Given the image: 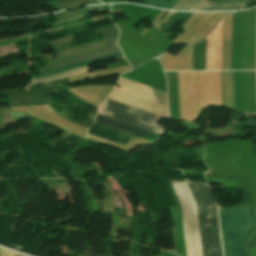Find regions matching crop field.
<instances>
[{
  "label": "crop field",
  "instance_id": "1",
  "mask_svg": "<svg viewBox=\"0 0 256 256\" xmlns=\"http://www.w3.org/2000/svg\"><path fill=\"white\" fill-rule=\"evenodd\" d=\"M220 211V225L222 233L224 256H249L247 249V239L254 227V207L253 204H246Z\"/></svg>",
  "mask_w": 256,
  "mask_h": 256
},
{
  "label": "crop field",
  "instance_id": "2",
  "mask_svg": "<svg viewBox=\"0 0 256 256\" xmlns=\"http://www.w3.org/2000/svg\"><path fill=\"white\" fill-rule=\"evenodd\" d=\"M197 204L203 256H221L216 208L207 185L189 183Z\"/></svg>",
  "mask_w": 256,
  "mask_h": 256
},
{
  "label": "crop field",
  "instance_id": "3",
  "mask_svg": "<svg viewBox=\"0 0 256 256\" xmlns=\"http://www.w3.org/2000/svg\"><path fill=\"white\" fill-rule=\"evenodd\" d=\"M96 31L98 33L102 32L105 41L57 52L58 58L49 60L46 64L48 71L70 63L120 51L117 46L118 30L116 26Z\"/></svg>",
  "mask_w": 256,
  "mask_h": 256
},
{
  "label": "crop field",
  "instance_id": "4",
  "mask_svg": "<svg viewBox=\"0 0 256 256\" xmlns=\"http://www.w3.org/2000/svg\"><path fill=\"white\" fill-rule=\"evenodd\" d=\"M185 183H186V185L188 187V190L190 192V195L193 199V196L191 194L188 183L187 182H185ZM185 183L184 182H178V183H172V184H173L174 189L177 193L179 201L182 205L181 211H182V219H183V227H184V235H185L187 256H200L201 243H200V235H199L196 204H195L194 199H193V202L195 204V210H196L197 227H198V235H199V243H200V252H199V243H198V235H197L194 204L191 200V197L189 195V192L186 188ZM201 256H202V252H201Z\"/></svg>",
  "mask_w": 256,
  "mask_h": 256
},
{
  "label": "crop field",
  "instance_id": "5",
  "mask_svg": "<svg viewBox=\"0 0 256 256\" xmlns=\"http://www.w3.org/2000/svg\"><path fill=\"white\" fill-rule=\"evenodd\" d=\"M98 113L159 134L162 131L155 123L159 116L108 99L101 105Z\"/></svg>",
  "mask_w": 256,
  "mask_h": 256
},
{
  "label": "crop field",
  "instance_id": "6",
  "mask_svg": "<svg viewBox=\"0 0 256 256\" xmlns=\"http://www.w3.org/2000/svg\"><path fill=\"white\" fill-rule=\"evenodd\" d=\"M68 79H62L44 84L30 85L27 90L8 92L11 105H29L52 102L43 93L55 92L52 86L68 84Z\"/></svg>",
  "mask_w": 256,
  "mask_h": 256
},
{
  "label": "crop field",
  "instance_id": "7",
  "mask_svg": "<svg viewBox=\"0 0 256 256\" xmlns=\"http://www.w3.org/2000/svg\"><path fill=\"white\" fill-rule=\"evenodd\" d=\"M95 123L137 136L139 138L148 140L153 142L155 139H157L159 137V134L102 116V115H97L95 121Z\"/></svg>",
  "mask_w": 256,
  "mask_h": 256
},
{
  "label": "crop field",
  "instance_id": "8",
  "mask_svg": "<svg viewBox=\"0 0 256 256\" xmlns=\"http://www.w3.org/2000/svg\"><path fill=\"white\" fill-rule=\"evenodd\" d=\"M89 133L95 136L101 137L103 139L113 141L123 145H125L128 141L136 138V137L124 134L122 132H119L95 123L90 128Z\"/></svg>",
  "mask_w": 256,
  "mask_h": 256
},
{
  "label": "crop field",
  "instance_id": "9",
  "mask_svg": "<svg viewBox=\"0 0 256 256\" xmlns=\"http://www.w3.org/2000/svg\"><path fill=\"white\" fill-rule=\"evenodd\" d=\"M248 0H214L203 10L242 9Z\"/></svg>",
  "mask_w": 256,
  "mask_h": 256
},
{
  "label": "crop field",
  "instance_id": "10",
  "mask_svg": "<svg viewBox=\"0 0 256 256\" xmlns=\"http://www.w3.org/2000/svg\"><path fill=\"white\" fill-rule=\"evenodd\" d=\"M121 55H123L122 52L115 53V54H110V55H105V56L89 59V60H86V61L70 64V65H67L65 67H62V68L56 69L54 71L48 72L46 74L34 75L33 77L34 78L45 77V76H49V75L56 74V73H59V72H63V71H66V70H70V69H73V68H77V67H81V66H85V65H90L94 61H97V60L111 58V57H116V56H121Z\"/></svg>",
  "mask_w": 256,
  "mask_h": 256
},
{
  "label": "crop field",
  "instance_id": "11",
  "mask_svg": "<svg viewBox=\"0 0 256 256\" xmlns=\"http://www.w3.org/2000/svg\"><path fill=\"white\" fill-rule=\"evenodd\" d=\"M100 10H104V8L102 6H94V7H85V8H80V9H76V10H72L63 14H58L55 15L54 18L59 21V20H63V19H67V18H71V17H75V16H79L85 13H88L90 11H100Z\"/></svg>",
  "mask_w": 256,
  "mask_h": 256
},
{
  "label": "crop field",
  "instance_id": "12",
  "mask_svg": "<svg viewBox=\"0 0 256 256\" xmlns=\"http://www.w3.org/2000/svg\"><path fill=\"white\" fill-rule=\"evenodd\" d=\"M87 70H88V67H83V68H79L76 70L68 71L65 73L57 74V75H53V76H49V77H45V78H41V79H35V80H33V82L34 83H43V82H47V81H53V80L61 79L64 77H68V76H72V75H76V74H80V73H85V72H87Z\"/></svg>",
  "mask_w": 256,
  "mask_h": 256
},
{
  "label": "crop field",
  "instance_id": "13",
  "mask_svg": "<svg viewBox=\"0 0 256 256\" xmlns=\"http://www.w3.org/2000/svg\"><path fill=\"white\" fill-rule=\"evenodd\" d=\"M180 0H147L144 4L154 7L171 9Z\"/></svg>",
  "mask_w": 256,
  "mask_h": 256
},
{
  "label": "crop field",
  "instance_id": "14",
  "mask_svg": "<svg viewBox=\"0 0 256 256\" xmlns=\"http://www.w3.org/2000/svg\"><path fill=\"white\" fill-rule=\"evenodd\" d=\"M200 1L201 0H181L172 9H174V10H191Z\"/></svg>",
  "mask_w": 256,
  "mask_h": 256
},
{
  "label": "crop field",
  "instance_id": "15",
  "mask_svg": "<svg viewBox=\"0 0 256 256\" xmlns=\"http://www.w3.org/2000/svg\"><path fill=\"white\" fill-rule=\"evenodd\" d=\"M72 40H73V36L68 37V38H64V39H61V40H57V41H54V42H50V44L56 45V44H60V43H64V42H68V41H72Z\"/></svg>",
  "mask_w": 256,
  "mask_h": 256
},
{
  "label": "crop field",
  "instance_id": "16",
  "mask_svg": "<svg viewBox=\"0 0 256 256\" xmlns=\"http://www.w3.org/2000/svg\"><path fill=\"white\" fill-rule=\"evenodd\" d=\"M248 244L250 249L256 246V235L250 238Z\"/></svg>",
  "mask_w": 256,
  "mask_h": 256
},
{
  "label": "crop field",
  "instance_id": "17",
  "mask_svg": "<svg viewBox=\"0 0 256 256\" xmlns=\"http://www.w3.org/2000/svg\"><path fill=\"white\" fill-rule=\"evenodd\" d=\"M84 17H88V14L82 15V16H79V17H75V18H71V19H68V20L84 18ZM68 20H64V21H60V22H55V25L58 24V23H62V22L68 21Z\"/></svg>",
  "mask_w": 256,
  "mask_h": 256
},
{
  "label": "crop field",
  "instance_id": "18",
  "mask_svg": "<svg viewBox=\"0 0 256 256\" xmlns=\"http://www.w3.org/2000/svg\"><path fill=\"white\" fill-rule=\"evenodd\" d=\"M5 252H6V254H7L8 256H19V255H15V254L9 253V252H7V251H5Z\"/></svg>",
  "mask_w": 256,
  "mask_h": 256
},
{
  "label": "crop field",
  "instance_id": "19",
  "mask_svg": "<svg viewBox=\"0 0 256 256\" xmlns=\"http://www.w3.org/2000/svg\"><path fill=\"white\" fill-rule=\"evenodd\" d=\"M0 253H1L2 256H6L1 249H0Z\"/></svg>",
  "mask_w": 256,
  "mask_h": 256
},
{
  "label": "crop field",
  "instance_id": "20",
  "mask_svg": "<svg viewBox=\"0 0 256 256\" xmlns=\"http://www.w3.org/2000/svg\"><path fill=\"white\" fill-rule=\"evenodd\" d=\"M256 233V228H255V231H254V233L253 234H255Z\"/></svg>",
  "mask_w": 256,
  "mask_h": 256
},
{
  "label": "crop field",
  "instance_id": "21",
  "mask_svg": "<svg viewBox=\"0 0 256 256\" xmlns=\"http://www.w3.org/2000/svg\"><path fill=\"white\" fill-rule=\"evenodd\" d=\"M256 180V179H255Z\"/></svg>",
  "mask_w": 256,
  "mask_h": 256
}]
</instances>
